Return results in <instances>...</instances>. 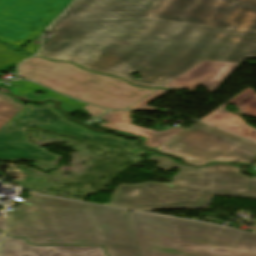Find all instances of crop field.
<instances>
[{"mask_svg":"<svg viewBox=\"0 0 256 256\" xmlns=\"http://www.w3.org/2000/svg\"><path fill=\"white\" fill-rule=\"evenodd\" d=\"M46 33L40 57L161 87L204 59L256 57V0H77Z\"/></svg>","mask_w":256,"mask_h":256,"instance_id":"8a807250","label":"crop field"},{"mask_svg":"<svg viewBox=\"0 0 256 256\" xmlns=\"http://www.w3.org/2000/svg\"><path fill=\"white\" fill-rule=\"evenodd\" d=\"M149 159L164 171L181 170L171 184H120L109 205L132 210L207 208L212 196L256 198V176L249 179L238 167L216 164L194 169L156 155Z\"/></svg>","mask_w":256,"mask_h":256,"instance_id":"ac0d7876","label":"crop field"},{"mask_svg":"<svg viewBox=\"0 0 256 256\" xmlns=\"http://www.w3.org/2000/svg\"><path fill=\"white\" fill-rule=\"evenodd\" d=\"M142 256H256V235L130 211Z\"/></svg>","mask_w":256,"mask_h":256,"instance_id":"34b2d1b8","label":"crop field"},{"mask_svg":"<svg viewBox=\"0 0 256 256\" xmlns=\"http://www.w3.org/2000/svg\"><path fill=\"white\" fill-rule=\"evenodd\" d=\"M29 194L31 198L6 213V234L24 236L31 244L103 245L84 204Z\"/></svg>","mask_w":256,"mask_h":256,"instance_id":"412701ff","label":"crop field"},{"mask_svg":"<svg viewBox=\"0 0 256 256\" xmlns=\"http://www.w3.org/2000/svg\"><path fill=\"white\" fill-rule=\"evenodd\" d=\"M53 106L51 103L41 107L26 105L0 130V160L26 159L35 161L34 167L45 172L56 168L61 157L51 154L30 142L26 133V130L30 127H35L41 131L49 130L62 136L84 138L92 143L120 147L132 155L145 153V151L138 148L129 149L136 143L123 140L117 136L97 135L65 120L62 114L53 111Z\"/></svg>","mask_w":256,"mask_h":256,"instance_id":"f4fd0767","label":"crop field"},{"mask_svg":"<svg viewBox=\"0 0 256 256\" xmlns=\"http://www.w3.org/2000/svg\"><path fill=\"white\" fill-rule=\"evenodd\" d=\"M20 77L110 109H127L156 90L137 88L120 78L87 72L66 62L36 57L20 65Z\"/></svg>","mask_w":256,"mask_h":256,"instance_id":"dd49c442","label":"crop field"},{"mask_svg":"<svg viewBox=\"0 0 256 256\" xmlns=\"http://www.w3.org/2000/svg\"><path fill=\"white\" fill-rule=\"evenodd\" d=\"M157 150L176 155L193 165L212 161L251 164L256 160V144L199 122Z\"/></svg>","mask_w":256,"mask_h":256,"instance_id":"e52e79f7","label":"crop field"},{"mask_svg":"<svg viewBox=\"0 0 256 256\" xmlns=\"http://www.w3.org/2000/svg\"><path fill=\"white\" fill-rule=\"evenodd\" d=\"M73 0H0V40L16 48L39 37Z\"/></svg>","mask_w":256,"mask_h":256,"instance_id":"d8731c3e","label":"crop field"},{"mask_svg":"<svg viewBox=\"0 0 256 256\" xmlns=\"http://www.w3.org/2000/svg\"><path fill=\"white\" fill-rule=\"evenodd\" d=\"M85 205L109 256H141L129 211Z\"/></svg>","mask_w":256,"mask_h":256,"instance_id":"5a996713","label":"crop field"},{"mask_svg":"<svg viewBox=\"0 0 256 256\" xmlns=\"http://www.w3.org/2000/svg\"><path fill=\"white\" fill-rule=\"evenodd\" d=\"M237 63L204 60L192 67L163 88L193 92L200 85L213 92L238 66Z\"/></svg>","mask_w":256,"mask_h":256,"instance_id":"3316defc","label":"crop field"},{"mask_svg":"<svg viewBox=\"0 0 256 256\" xmlns=\"http://www.w3.org/2000/svg\"><path fill=\"white\" fill-rule=\"evenodd\" d=\"M229 103L235 104L243 115L256 118V95L252 89L248 88L211 112L201 121L211 123L256 142V129L248 126L239 117L221 109Z\"/></svg>","mask_w":256,"mask_h":256,"instance_id":"28ad6ade","label":"crop field"},{"mask_svg":"<svg viewBox=\"0 0 256 256\" xmlns=\"http://www.w3.org/2000/svg\"><path fill=\"white\" fill-rule=\"evenodd\" d=\"M2 256H106L102 247L31 246L23 238L5 236Z\"/></svg>","mask_w":256,"mask_h":256,"instance_id":"d1516ede","label":"crop field"},{"mask_svg":"<svg viewBox=\"0 0 256 256\" xmlns=\"http://www.w3.org/2000/svg\"><path fill=\"white\" fill-rule=\"evenodd\" d=\"M132 121L130 118L125 124H123L118 130L126 131L129 133L141 135L146 138L143 146L157 149L181 132L186 129L173 127L169 130L158 132L148 128L129 124ZM144 138V139H145Z\"/></svg>","mask_w":256,"mask_h":256,"instance_id":"22f410ed","label":"crop field"},{"mask_svg":"<svg viewBox=\"0 0 256 256\" xmlns=\"http://www.w3.org/2000/svg\"><path fill=\"white\" fill-rule=\"evenodd\" d=\"M11 83L12 85H16L18 84L19 87V91L18 93L19 94H25V93H30V92H36V91H41V90H44L46 91L45 94L41 97H37V98H34V99H39V98H45V97H49V96H53L55 97L56 99L58 100H62L63 102H65V105L67 107L68 110H77V109H80V108H83L85 107L87 104H83V103H80V102H77V101H73V100H70L66 97H63L59 94H56L52 91H49L47 89H44L40 86H37L33 83H30V82H25V81H14V82H9Z\"/></svg>","mask_w":256,"mask_h":256,"instance_id":"cbeb9de0","label":"crop field"},{"mask_svg":"<svg viewBox=\"0 0 256 256\" xmlns=\"http://www.w3.org/2000/svg\"><path fill=\"white\" fill-rule=\"evenodd\" d=\"M17 107V109H15ZM23 107L13 101L11 96L0 93V129L9 122Z\"/></svg>","mask_w":256,"mask_h":256,"instance_id":"5142ce71","label":"crop field"},{"mask_svg":"<svg viewBox=\"0 0 256 256\" xmlns=\"http://www.w3.org/2000/svg\"><path fill=\"white\" fill-rule=\"evenodd\" d=\"M28 56L14 52L4 45L0 44V71L24 60Z\"/></svg>","mask_w":256,"mask_h":256,"instance_id":"d9b57169","label":"crop field"},{"mask_svg":"<svg viewBox=\"0 0 256 256\" xmlns=\"http://www.w3.org/2000/svg\"><path fill=\"white\" fill-rule=\"evenodd\" d=\"M129 115L130 112L110 111L100 119L109 121L111 123L109 125L101 123L100 126L107 129H117L130 118Z\"/></svg>","mask_w":256,"mask_h":256,"instance_id":"733c2abd","label":"crop field"},{"mask_svg":"<svg viewBox=\"0 0 256 256\" xmlns=\"http://www.w3.org/2000/svg\"><path fill=\"white\" fill-rule=\"evenodd\" d=\"M165 92H166V90L158 89V90H156L155 92H153L152 94H150L149 96H147L146 98H144L143 100H141L140 102H138L137 104H135L134 106H132L129 109L158 110V109H155V108L148 107L146 105L149 104L150 102H152L153 100H155L157 97H159L160 95H162Z\"/></svg>","mask_w":256,"mask_h":256,"instance_id":"4a817a6b","label":"crop field"},{"mask_svg":"<svg viewBox=\"0 0 256 256\" xmlns=\"http://www.w3.org/2000/svg\"><path fill=\"white\" fill-rule=\"evenodd\" d=\"M83 109L87 110L89 112V114L94 117H97L107 111V110H104V109H101V108H98L95 106H91V105H88Z\"/></svg>","mask_w":256,"mask_h":256,"instance_id":"bc2a9ffb","label":"crop field"},{"mask_svg":"<svg viewBox=\"0 0 256 256\" xmlns=\"http://www.w3.org/2000/svg\"><path fill=\"white\" fill-rule=\"evenodd\" d=\"M24 49H25V51L34 54V53L38 52V50L40 49V44L30 43Z\"/></svg>","mask_w":256,"mask_h":256,"instance_id":"214f88e0","label":"crop field"},{"mask_svg":"<svg viewBox=\"0 0 256 256\" xmlns=\"http://www.w3.org/2000/svg\"><path fill=\"white\" fill-rule=\"evenodd\" d=\"M6 227V222L4 219L0 218V231L4 232Z\"/></svg>","mask_w":256,"mask_h":256,"instance_id":"92a150f3","label":"crop field"},{"mask_svg":"<svg viewBox=\"0 0 256 256\" xmlns=\"http://www.w3.org/2000/svg\"><path fill=\"white\" fill-rule=\"evenodd\" d=\"M1 234H2V232H0V237H1Z\"/></svg>","mask_w":256,"mask_h":256,"instance_id":"dafd665d","label":"crop field"}]
</instances>
